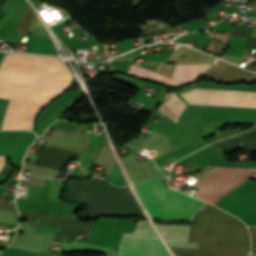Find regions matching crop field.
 I'll return each instance as SVG.
<instances>
[{"mask_svg": "<svg viewBox=\"0 0 256 256\" xmlns=\"http://www.w3.org/2000/svg\"><path fill=\"white\" fill-rule=\"evenodd\" d=\"M251 240H252V251L251 253L256 254V229L255 227H248Z\"/></svg>", "mask_w": 256, "mask_h": 256, "instance_id": "13", "label": "crop field"}, {"mask_svg": "<svg viewBox=\"0 0 256 256\" xmlns=\"http://www.w3.org/2000/svg\"><path fill=\"white\" fill-rule=\"evenodd\" d=\"M73 82L56 58L7 53L0 66V98L10 102L1 129H33L38 110Z\"/></svg>", "mask_w": 256, "mask_h": 256, "instance_id": "1", "label": "crop field"}, {"mask_svg": "<svg viewBox=\"0 0 256 256\" xmlns=\"http://www.w3.org/2000/svg\"><path fill=\"white\" fill-rule=\"evenodd\" d=\"M144 184L163 221H190L202 202L165 187L163 179ZM144 184L135 186L138 195L151 219L162 221Z\"/></svg>", "mask_w": 256, "mask_h": 256, "instance_id": "3", "label": "crop field"}, {"mask_svg": "<svg viewBox=\"0 0 256 256\" xmlns=\"http://www.w3.org/2000/svg\"><path fill=\"white\" fill-rule=\"evenodd\" d=\"M176 256H247L248 253L215 252L193 249L171 248Z\"/></svg>", "mask_w": 256, "mask_h": 256, "instance_id": "11", "label": "crop field"}, {"mask_svg": "<svg viewBox=\"0 0 256 256\" xmlns=\"http://www.w3.org/2000/svg\"><path fill=\"white\" fill-rule=\"evenodd\" d=\"M121 238H150L158 239L148 221L139 220L136 228L131 233H123Z\"/></svg>", "mask_w": 256, "mask_h": 256, "instance_id": "12", "label": "crop field"}, {"mask_svg": "<svg viewBox=\"0 0 256 256\" xmlns=\"http://www.w3.org/2000/svg\"><path fill=\"white\" fill-rule=\"evenodd\" d=\"M250 177L256 178V169L213 167L191 188L199 191L194 197L214 204Z\"/></svg>", "mask_w": 256, "mask_h": 256, "instance_id": "4", "label": "crop field"}, {"mask_svg": "<svg viewBox=\"0 0 256 256\" xmlns=\"http://www.w3.org/2000/svg\"><path fill=\"white\" fill-rule=\"evenodd\" d=\"M119 256H170L159 240L121 239Z\"/></svg>", "mask_w": 256, "mask_h": 256, "instance_id": "8", "label": "crop field"}, {"mask_svg": "<svg viewBox=\"0 0 256 256\" xmlns=\"http://www.w3.org/2000/svg\"><path fill=\"white\" fill-rule=\"evenodd\" d=\"M249 256H255V255L250 254Z\"/></svg>", "mask_w": 256, "mask_h": 256, "instance_id": "16", "label": "crop field"}, {"mask_svg": "<svg viewBox=\"0 0 256 256\" xmlns=\"http://www.w3.org/2000/svg\"><path fill=\"white\" fill-rule=\"evenodd\" d=\"M20 216H27L30 224L54 226L79 231H90L92 223H82L75 220V215L52 216L51 212H19Z\"/></svg>", "mask_w": 256, "mask_h": 256, "instance_id": "7", "label": "crop field"}, {"mask_svg": "<svg viewBox=\"0 0 256 256\" xmlns=\"http://www.w3.org/2000/svg\"><path fill=\"white\" fill-rule=\"evenodd\" d=\"M209 65L210 64L176 65L172 79L136 65H131L128 74L158 81L162 84L179 86L193 81Z\"/></svg>", "mask_w": 256, "mask_h": 256, "instance_id": "6", "label": "crop field"}, {"mask_svg": "<svg viewBox=\"0 0 256 256\" xmlns=\"http://www.w3.org/2000/svg\"><path fill=\"white\" fill-rule=\"evenodd\" d=\"M164 240L169 246L198 248V244H187L190 226H158Z\"/></svg>", "mask_w": 256, "mask_h": 256, "instance_id": "10", "label": "crop field"}, {"mask_svg": "<svg viewBox=\"0 0 256 256\" xmlns=\"http://www.w3.org/2000/svg\"><path fill=\"white\" fill-rule=\"evenodd\" d=\"M4 157L5 156H0V170H1L2 165H3Z\"/></svg>", "mask_w": 256, "mask_h": 256, "instance_id": "14", "label": "crop field"}, {"mask_svg": "<svg viewBox=\"0 0 256 256\" xmlns=\"http://www.w3.org/2000/svg\"><path fill=\"white\" fill-rule=\"evenodd\" d=\"M246 225L256 224V182L247 180L216 204Z\"/></svg>", "mask_w": 256, "mask_h": 256, "instance_id": "5", "label": "crop field"}, {"mask_svg": "<svg viewBox=\"0 0 256 256\" xmlns=\"http://www.w3.org/2000/svg\"><path fill=\"white\" fill-rule=\"evenodd\" d=\"M53 243H55V244H61V243H56V242H53ZM61 245H65V244H61Z\"/></svg>", "mask_w": 256, "mask_h": 256, "instance_id": "15", "label": "crop field"}, {"mask_svg": "<svg viewBox=\"0 0 256 256\" xmlns=\"http://www.w3.org/2000/svg\"><path fill=\"white\" fill-rule=\"evenodd\" d=\"M210 146L218 148L225 152L229 151L234 146L243 149L256 150V127L252 128L249 131L217 141Z\"/></svg>", "mask_w": 256, "mask_h": 256, "instance_id": "9", "label": "crop field"}, {"mask_svg": "<svg viewBox=\"0 0 256 256\" xmlns=\"http://www.w3.org/2000/svg\"><path fill=\"white\" fill-rule=\"evenodd\" d=\"M188 242L213 250L249 252L250 248L246 226L212 205L193 216Z\"/></svg>", "mask_w": 256, "mask_h": 256, "instance_id": "2", "label": "crop field"}]
</instances>
